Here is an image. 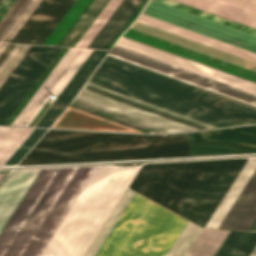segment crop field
Returning <instances> with one entry per match:
<instances>
[{"instance_id": "obj_1", "label": "crop field", "mask_w": 256, "mask_h": 256, "mask_svg": "<svg viewBox=\"0 0 256 256\" xmlns=\"http://www.w3.org/2000/svg\"><path fill=\"white\" fill-rule=\"evenodd\" d=\"M90 81L220 127L256 123L255 107L108 56ZM90 81L77 98L172 132L217 127ZM77 98L72 102V106L148 133L169 132Z\"/></svg>"}, {"instance_id": "obj_2", "label": "crop field", "mask_w": 256, "mask_h": 256, "mask_svg": "<svg viewBox=\"0 0 256 256\" xmlns=\"http://www.w3.org/2000/svg\"><path fill=\"white\" fill-rule=\"evenodd\" d=\"M96 168L43 169L0 232V256H39Z\"/></svg>"}, {"instance_id": "obj_3", "label": "crop field", "mask_w": 256, "mask_h": 256, "mask_svg": "<svg viewBox=\"0 0 256 256\" xmlns=\"http://www.w3.org/2000/svg\"><path fill=\"white\" fill-rule=\"evenodd\" d=\"M209 161L143 165L129 189L178 210ZM256 219V158H249L204 226L249 230Z\"/></svg>"}, {"instance_id": "obj_4", "label": "crop field", "mask_w": 256, "mask_h": 256, "mask_svg": "<svg viewBox=\"0 0 256 256\" xmlns=\"http://www.w3.org/2000/svg\"><path fill=\"white\" fill-rule=\"evenodd\" d=\"M189 156L187 134L137 136L49 130L19 165Z\"/></svg>"}, {"instance_id": "obj_5", "label": "crop field", "mask_w": 256, "mask_h": 256, "mask_svg": "<svg viewBox=\"0 0 256 256\" xmlns=\"http://www.w3.org/2000/svg\"><path fill=\"white\" fill-rule=\"evenodd\" d=\"M137 170L98 166L40 256H82Z\"/></svg>"}, {"instance_id": "obj_6", "label": "crop field", "mask_w": 256, "mask_h": 256, "mask_svg": "<svg viewBox=\"0 0 256 256\" xmlns=\"http://www.w3.org/2000/svg\"><path fill=\"white\" fill-rule=\"evenodd\" d=\"M187 222L142 197L107 256H166ZM200 231L188 222L167 256H184Z\"/></svg>"}, {"instance_id": "obj_7", "label": "crop field", "mask_w": 256, "mask_h": 256, "mask_svg": "<svg viewBox=\"0 0 256 256\" xmlns=\"http://www.w3.org/2000/svg\"><path fill=\"white\" fill-rule=\"evenodd\" d=\"M246 160L210 161L176 214L203 228Z\"/></svg>"}, {"instance_id": "obj_8", "label": "crop field", "mask_w": 256, "mask_h": 256, "mask_svg": "<svg viewBox=\"0 0 256 256\" xmlns=\"http://www.w3.org/2000/svg\"><path fill=\"white\" fill-rule=\"evenodd\" d=\"M142 14L256 53V36L178 8L150 0Z\"/></svg>"}, {"instance_id": "obj_9", "label": "crop field", "mask_w": 256, "mask_h": 256, "mask_svg": "<svg viewBox=\"0 0 256 256\" xmlns=\"http://www.w3.org/2000/svg\"><path fill=\"white\" fill-rule=\"evenodd\" d=\"M92 50L69 48L11 125L29 126L52 95H59Z\"/></svg>"}, {"instance_id": "obj_10", "label": "crop field", "mask_w": 256, "mask_h": 256, "mask_svg": "<svg viewBox=\"0 0 256 256\" xmlns=\"http://www.w3.org/2000/svg\"><path fill=\"white\" fill-rule=\"evenodd\" d=\"M190 156L256 152V125L188 134Z\"/></svg>"}, {"instance_id": "obj_11", "label": "crop field", "mask_w": 256, "mask_h": 256, "mask_svg": "<svg viewBox=\"0 0 256 256\" xmlns=\"http://www.w3.org/2000/svg\"><path fill=\"white\" fill-rule=\"evenodd\" d=\"M76 0H42L11 42L43 45Z\"/></svg>"}, {"instance_id": "obj_12", "label": "crop field", "mask_w": 256, "mask_h": 256, "mask_svg": "<svg viewBox=\"0 0 256 256\" xmlns=\"http://www.w3.org/2000/svg\"><path fill=\"white\" fill-rule=\"evenodd\" d=\"M116 45L256 94V83L121 36Z\"/></svg>"}, {"instance_id": "obj_13", "label": "crop field", "mask_w": 256, "mask_h": 256, "mask_svg": "<svg viewBox=\"0 0 256 256\" xmlns=\"http://www.w3.org/2000/svg\"><path fill=\"white\" fill-rule=\"evenodd\" d=\"M108 51L93 50L36 126L49 127L70 104Z\"/></svg>"}, {"instance_id": "obj_14", "label": "crop field", "mask_w": 256, "mask_h": 256, "mask_svg": "<svg viewBox=\"0 0 256 256\" xmlns=\"http://www.w3.org/2000/svg\"><path fill=\"white\" fill-rule=\"evenodd\" d=\"M123 36L256 82V73L129 29Z\"/></svg>"}, {"instance_id": "obj_15", "label": "crop field", "mask_w": 256, "mask_h": 256, "mask_svg": "<svg viewBox=\"0 0 256 256\" xmlns=\"http://www.w3.org/2000/svg\"><path fill=\"white\" fill-rule=\"evenodd\" d=\"M41 171L42 169L13 172L0 186V230Z\"/></svg>"}, {"instance_id": "obj_16", "label": "crop field", "mask_w": 256, "mask_h": 256, "mask_svg": "<svg viewBox=\"0 0 256 256\" xmlns=\"http://www.w3.org/2000/svg\"><path fill=\"white\" fill-rule=\"evenodd\" d=\"M61 48L48 47L21 84L0 110V125H3Z\"/></svg>"}, {"instance_id": "obj_17", "label": "crop field", "mask_w": 256, "mask_h": 256, "mask_svg": "<svg viewBox=\"0 0 256 256\" xmlns=\"http://www.w3.org/2000/svg\"><path fill=\"white\" fill-rule=\"evenodd\" d=\"M108 56L117 58L119 60H122V61L134 64V65L140 66L142 68H145V69H148V70H151V71L163 74L165 76H168V77H171V78H174V79L186 82L188 84H191V85H194V86H197V87L209 90L211 92H214V93H217V94H220V95H223V96H226V97L232 98L234 100H237V101H240V102H243V103H246V104H249V105H252V106L256 107V100H253L251 98H248V97H245V96L233 93L231 91H228V90H225V89H222V88L210 85L208 83H205V82H202V81H199V80L187 77L185 75H182V74H179V73L167 70L165 68H162V67H159V66H156V65L144 62L142 60H139V59H136V58L124 55L122 53H119V52L111 50L110 53L108 54Z\"/></svg>"}, {"instance_id": "obj_18", "label": "crop field", "mask_w": 256, "mask_h": 256, "mask_svg": "<svg viewBox=\"0 0 256 256\" xmlns=\"http://www.w3.org/2000/svg\"><path fill=\"white\" fill-rule=\"evenodd\" d=\"M142 0H123L88 48L106 49Z\"/></svg>"}, {"instance_id": "obj_19", "label": "crop field", "mask_w": 256, "mask_h": 256, "mask_svg": "<svg viewBox=\"0 0 256 256\" xmlns=\"http://www.w3.org/2000/svg\"><path fill=\"white\" fill-rule=\"evenodd\" d=\"M137 21L146 23L148 25H151V26H154V27L166 30L168 32H171V33H174V34L186 37L188 39H191V40H194V41H197V42L209 45L211 47H214V48H217V49H220V50L229 52L231 54H234V55H237V56H240V57H243V58H246V59H249L251 61L256 62V54H253L251 52H248V51H245V50L233 47L231 45H228V44H225V43L213 40L211 38H208V37H205V36L193 33L191 31H188V30H185V29L173 26L171 24H168V23H165V22L153 19L151 17H148V16H145V15L141 14L139 16V18L137 19Z\"/></svg>"}, {"instance_id": "obj_20", "label": "crop field", "mask_w": 256, "mask_h": 256, "mask_svg": "<svg viewBox=\"0 0 256 256\" xmlns=\"http://www.w3.org/2000/svg\"><path fill=\"white\" fill-rule=\"evenodd\" d=\"M41 0H17L0 22V42H10Z\"/></svg>"}, {"instance_id": "obj_21", "label": "crop field", "mask_w": 256, "mask_h": 256, "mask_svg": "<svg viewBox=\"0 0 256 256\" xmlns=\"http://www.w3.org/2000/svg\"><path fill=\"white\" fill-rule=\"evenodd\" d=\"M224 18L256 28V15L213 0H175Z\"/></svg>"}, {"instance_id": "obj_22", "label": "crop field", "mask_w": 256, "mask_h": 256, "mask_svg": "<svg viewBox=\"0 0 256 256\" xmlns=\"http://www.w3.org/2000/svg\"><path fill=\"white\" fill-rule=\"evenodd\" d=\"M47 47L32 46L0 88V108L30 71Z\"/></svg>"}, {"instance_id": "obj_23", "label": "crop field", "mask_w": 256, "mask_h": 256, "mask_svg": "<svg viewBox=\"0 0 256 256\" xmlns=\"http://www.w3.org/2000/svg\"><path fill=\"white\" fill-rule=\"evenodd\" d=\"M256 246V232L230 231L215 256H249Z\"/></svg>"}, {"instance_id": "obj_24", "label": "crop field", "mask_w": 256, "mask_h": 256, "mask_svg": "<svg viewBox=\"0 0 256 256\" xmlns=\"http://www.w3.org/2000/svg\"><path fill=\"white\" fill-rule=\"evenodd\" d=\"M109 0H92L58 46L74 47ZM80 28L73 38H70Z\"/></svg>"}, {"instance_id": "obj_25", "label": "crop field", "mask_w": 256, "mask_h": 256, "mask_svg": "<svg viewBox=\"0 0 256 256\" xmlns=\"http://www.w3.org/2000/svg\"><path fill=\"white\" fill-rule=\"evenodd\" d=\"M229 231L202 229L185 256H214Z\"/></svg>"}, {"instance_id": "obj_26", "label": "crop field", "mask_w": 256, "mask_h": 256, "mask_svg": "<svg viewBox=\"0 0 256 256\" xmlns=\"http://www.w3.org/2000/svg\"><path fill=\"white\" fill-rule=\"evenodd\" d=\"M33 130L0 127V165L8 160Z\"/></svg>"}, {"instance_id": "obj_27", "label": "crop field", "mask_w": 256, "mask_h": 256, "mask_svg": "<svg viewBox=\"0 0 256 256\" xmlns=\"http://www.w3.org/2000/svg\"><path fill=\"white\" fill-rule=\"evenodd\" d=\"M113 50L122 52V53H124V54H127V55H130V56H133V57L142 59V60H144V61H147V62L156 64V65L165 67V68H167V69H170V70H173V71H176V72L185 74V75H187V76H190V77H193V78H196V79H199V80L208 82V83H210V84H213V85H216V86H219V87H222V88L231 90V91H233V92H236V93H239V94H242V95L251 97V98H253V99H256V95L253 94V93H250V92H247V91L238 89V88H236V87H233V86H230V85H227V84L218 82V81H216V80H213V79H210V78H207V77L198 75V74H196V73H193V72H190V71L181 69V68H179V67H176V66H173V65L164 63V62H161V61H159V60H156V59H153V58L144 56V55H142V54H139V53H136V52L127 50V49H124V48H122V47H119V46L114 45Z\"/></svg>"}, {"instance_id": "obj_28", "label": "crop field", "mask_w": 256, "mask_h": 256, "mask_svg": "<svg viewBox=\"0 0 256 256\" xmlns=\"http://www.w3.org/2000/svg\"><path fill=\"white\" fill-rule=\"evenodd\" d=\"M134 193L135 192L127 189V191L125 192V194L113 210L112 214L110 215V217L108 218V220L106 221V223L104 224V226L102 227V229L100 230V232L98 233V235L96 236V238L94 239L93 243L91 244V246L89 247L88 251L84 256H95L98 249L104 242L105 238L113 228L114 224L122 214L123 210L131 200Z\"/></svg>"}, {"instance_id": "obj_29", "label": "crop field", "mask_w": 256, "mask_h": 256, "mask_svg": "<svg viewBox=\"0 0 256 256\" xmlns=\"http://www.w3.org/2000/svg\"><path fill=\"white\" fill-rule=\"evenodd\" d=\"M31 46L8 44L0 55V86Z\"/></svg>"}, {"instance_id": "obj_30", "label": "crop field", "mask_w": 256, "mask_h": 256, "mask_svg": "<svg viewBox=\"0 0 256 256\" xmlns=\"http://www.w3.org/2000/svg\"><path fill=\"white\" fill-rule=\"evenodd\" d=\"M91 0H77L44 45L57 46Z\"/></svg>"}, {"instance_id": "obj_31", "label": "crop field", "mask_w": 256, "mask_h": 256, "mask_svg": "<svg viewBox=\"0 0 256 256\" xmlns=\"http://www.w3.org/2000/svg\"><path fill=\"white\" fill-rule=\"evenodd\" d=\"M122 0H110L75 47L87 48Z\"/></svg>"}, {"instance_id": "obj_32", "label": "crop field", "mask_w": 256, "mask_h": 256, "mask_svg": "<svg viewBox=\"0 0 256 256\" xmlns=\"http://www.w3.org/2000/svg\"><path fill=\"white\" fill-rule=\"evenodd\" d=\"M141 197L142 196H140V195L135 193V195L133 196L132 200L130 201V203L128 204L126 209L124 210L123 214L121 215V217L119 218V220L115 224L114 228L112 229V231L108 235L107 239L105 240V242L103 243V245L99 249V251L96 254V256H106L107 252L109 251L110 247L112 246V244L114 243L115 239L119 235L120 231L122 230L123 226L127 222V220L130 217L131 213L133 212V210L135 209L136 205L140 201Z\"/></svg>"}, {"instance_id": "obj_33", "label": "crop field", "mask_w": 256, "mask_h": 256, "mask_svg": "<svg viewBox=\"0 0 256 256\" xmlns=\"http://www.w3.org/2000/svg\"><path fill=\"white\" fill-rule=\"evenodd\" d=\"M46 130L35 129L6 163L19 162Z\"/></svg>"}, {"instance_id": "obj_34", "label": "crop field", "mask_w": 256, "mask_h": 256, "mask_svg": "<svg viewBox=\"0 0 256 256\" xmlns=\"http://www.w3.org/2000/svg\"><path fill=\"white\" fill-rule=\"evenodd\" d=\"M158 1H161V2H163V3H166V4H169V5H172V6H175V7L184 9V10H187V11H189V12H192V13H195V14H198V15H201V16H204V17H207V18H210V19H212V20H215V21H218V22H221V23H224V24H227V25L236 27V28H238V29H241V30H244V31L253 33V34H256V30H253V29H250V28H247V27L238 25V24H236V23H233V22H230V21H227V20H224V19L215 17V16H213V15H210V14H207V13H204V12H201V11H198V10H195V9H192V8H190V7H187V6H184V5H181V4H178V3H175V2L169 1V0H158Z\"/></svg>"}, {"instance_id": "obj_35", "label": "crop field", "mask_w": 256, "mask_h": 256, "mask_svg": "<svg viewBox=\"0 0 256 256\" xmlns=\"http://www.w3.org/2000/svg\"><path fill=\"white\" fill-rule=\"evenodd\" d=\"M216 1L256 14V0H216Z\"/></svg>"}, {"instance_id": "obj_36", "label": "crop field", "mask_w": 256, "mask_h": 256, "mask_svg": "<svg viewBox=\"0 0 256 256\" xmlns=\"http://www.w3.org/2000/svg\"><path fill=\"white\" fill-rule=\"evenodd\" d=\"M148 0H143L142 3L139 5V7L136 9V11L133 13V15L130 17V19L127 21V23L123 26V28L120 30V32L117 34V36L114 38V40L111 42V44L108 46L107 49H111V47L114 45V43L117 41V39L133 24L139 13L142 11L144 6Z\"/></svg>"}, {"instance_id": "obj_37", "label": "crop field", "mask_w": 256, "mask_h": 256, "mask_svg": "<svg viewBox=\"0 0 256 256\" xmlns=\"http://www.w3.org/2000/svg\"><path fill=\"white\" fill-rule=\"evenodd\" d=\"M15 0H4V2L0 6V20L4 16V14L8 11L11 5Z\"/></svg>"}, {"instance_id": "obj_38", "label": "crop field", "mask_w": 256, "mask_h": 256, "mask_svg": "<svg viewBox=\"0 0 256 256\" xmlns=\"http://www.w3.org/2000/svg\"><path fill=\"white\" fill-rule=\"evenodd\" d=\"M7 44L0 43V53L3 51V49L6 47Z\"/></svg>"}, {"instance_id": "obj_39", "label": "crop field", "mask_w": 256, "mask_h": 256, "mask_svg": "<svg viewBox=\"0 0 256 256\" xmlns=\"http://www.w3.org/2000/svg\"><path fill=\"white\" fill-rule=\"evenodd\" d=\"M250 230H256V221L254 222V224L252 225V227L250 228Z\"/></svg>"}, {"instance_id": "obj_40", "label": "crop field", "mask_w": 256, "mask_h": 256, "mask_svg": "<svg viewBox=\"0 0 256 256\" xmlns=\"http://www.w3.org/2000/svg\"><path fill=\"white\" fill-rule=\"evenodd\" d=\"M250 256H256V247H255V249L253 250V252L251 253Z\"/></svg>"}, {"instance_id": "obj_41", "label": "crop field", "mask_w": 256, "mask_h": 256, "mask_svg": "<svg viewBox=\"0 0 256 256\" xmlns=\"http://www.w3.org/2000/svg\"><path fill=\"white\" fill-rule=\"evenodd\" d=\"M3 176H4L3 174H0V180H1V178H2ZM6 176H7V175H5V176L3 177V179H4ZM3 179H2V180H3ZM2 180H1V181H2ZM1 181H0V182H1Z\"/></svg>"}, {"instance_id": "obj_42", "label": "crop field", "mask_w": 256, "mask_h": 256, "mask_svg": "<svg viewBox=\"0 0 256 256\" xmlns=\"http://www.w3.org/2000/svg\"><path fill=\"white\" fill-rule=\"evenodd\" d=\"M3 2V0H0V4Z\"/></svg>"}]
</instances>
